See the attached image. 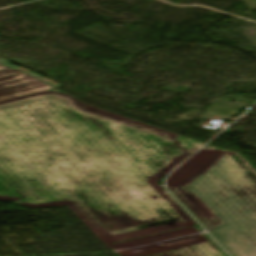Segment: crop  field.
<instances>
[{
	"label": "crop field",
	"instance_id": "4",
	"mask_svg": "<svg viewBox=\"0 0 256 256\" xmlns=\"http://www.w3.org/2000/svg\"><path fill=\"white\" fill-rule=\"evenodd\" d=\"M186 256H208L198 245L181 248L180 249Z\"/></svg>",
	"mask_w": 256,
	"mask_h": 256
},
{
	"label": "crop field",
	"instance_id": "2",
	"mask_svg": "<svg viewBox=\"0 0 256 256\" xmlns=\"http://www.w3.org/2000/svg\"><path fill=\"white\" fill-rule=\"evenodd\" d=\"M55 89L21 71L0 65V101Z\"/></svg>",
	"mask_w": 256,
	"mask_h": 256
},
{
	"label": "crop field",
	"instance_id": "3",
	"mask_svg": "<svg viewBox=\"0 0 256 256\" xmlns=\"http://www.w3.org/2000/svg\"><path fill=\"white\" fill-rule=\"evenodd\" d=\"M8 62H10V61L0 57V64L4 65V66H6V67H8V68H10L12 70H15V69L21 70V71H23V72H25V73H27V74H29V75L37 78V79H40V80H42V81H44V82H46V83H48V84H50V85H52V86H54L56 88L63 87V86H61V85H59V84H57L55 82H52V81H50V80H48L46 78H43V77H41V76H39V75H37V74H35L33 72H30V71H28V70H26L24 68H19V67L8 65L7 64Z\"/></svg>",
	"mask_w": 256,
	"mask_h": 256
},
{
	"label": "crop field",
	"instance_id": "1",
	"mask_svg": "<svg viewBox=\"0 0 256 256\" xmlns=\"http://www.w3.org/2000/svg\"><path fill=\"white\" fill-rule=\"evenodd\" d=\"M188 186L225 224L208 228L222 245L233 256H256V185L234 162L224 153Z\"/></svg>",
	"mask_w": 256,
	"mask_h": 256
}]
</instances>
